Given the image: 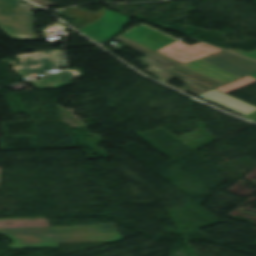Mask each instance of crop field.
<instances>
[{
	"instance_id": "obj_1",
	"label": "crop field",
	"mask_w": 256,
	"mask_h": 256,
	"mask_svg": "<svg viewBox=\"0 0 256 256\" xmlns=\"http://www.w3.org/2000/svg\"><path fill=\"white\" fill-rule=\"evenodd\" d=\"M0 234L11 238L10 249L58 247V244L104 243L121 240L116 225L20 228L0 230Z\"/></svg>"
},
{
	"instance_id": "obj_2",
	"label": "crop field",
	"mask_w": 256,
	"mask_h": 256,
	"mask_svg": "<svg viewBox=\"0 0 256 256\" xmlns=\"http://www.w3.org/2000/svg\"><path fill=\"white\" fill-rule=\"evenodd\" d=\"M116 40H119L124 43V45L135 49L145 55L147 57L140 58L139 60L145 62L146 64L151 65L148 67L146 72L150 74H154L159 78V81H162L164 83L177 78L179 80H182L186 82V84L181 87L179 90L183 92H190L192 94L198 95L203 94L213 88H216L222 84L215 82L211 79H208L202 75H199L195 72H192L184 67H182L180 64L158 54L155 53L143 46H140L130 40H127L125 38L119 37ZM168 84V83H166ZM170 85V84H168ZM172 86V85H170ZM174 87V86H172ZM176 88V87H174ZM178 89V88H176Z\"/></svg>"
},
{
	"instance_id": "obj_3",
	"label": "crop field",
	"mask_w": 256,
	"mask_h": 256,
	"mask_svg": "<svg viewBox=\"0 0 256 256\" xmlns=\"http://www.w3.org/2000/svg\"><path fill=\"white\" fill-rule=\"evenodd\" d=\"M14 58L22 62V65L13 66L14 72L22 77L30 74H40L41 70L47 68L64 67L61 50L36 51L33 54H21Z\"/></svg>"
},
{
	"instance_id": "obj_4",
	"label": "crop field",
	"mask_w": 256,
	"mask_h": 256,
	"mask_svg": "<svg viewBox=\"0 0 256 256\" xmlns=\"http://www.w3.org/2000/svg\"><path fill=\"white\" fill-rule=\"evenodd\" d=\"M220 51L223 50L202 42L188 46L184 43L177 41L157 52L171 57L183 64L185 62L205 57Z\"/></svg>"
},
{
	"instance_id": "obj_5",
	"label": "crop field",
	"mask_w": 256,
	"mask_h": 256,
	"mask_svg": "<svg viewBox=\"0 0 256 256\" xmlns=\"http://www.w3.org/2000/svg\"><path fill=\"white\" fill-rule=\"evenodd\" d=\"M128 19L129 17L105 10L97 23L80 31L107 41L118 35L121 27L129 23Z\"/></svg>"
},
{
	"instance_id": "obj_6",
	"label": "crop field",
	"mask_w": 256,
	"mask_h": 256,
	"mask_svg": "<svg viewBox=\"0 0 256 256\" xmlns=\"http://www.w3.org/2000/svg\"><path fill=\"white\" fill-rule=\"evenodd\" d=\"M239 77L256 71V62L247 60L235 54L223 51L205 58H201Z\"/></svg>"
},
{
	"instance_id": "obj_7",
	"label": "crop field",
	"mask_w": 256,
	"mask_h": 256,
	"mask_svg": "<svg viewBox=\"0 0 256 256\" xmlns=\"http://www.w3.org/2000/svg\"><path fill=\"white\" fill-rule=\"evenodd\" d=\"M0 29L17 40H34L33 17L0 15Z\"/></svg>"
},
{
	"instance_id": "obj_8",
	"label": "crop field",
	"mask_w": 256,
	"mask_h": 256,
	"mask_svg": "<svg viewBox=\"0 0 256 256\" xmlns=\"http://www.w3.org/2000/svg\"><path fill=\"white\" fill-rule=\"evenodd\" d=\"M123 36L154 51L176 41L143 25Z\"/></svg>"
},
{
	"instance_id": "obj_9",
	"label": "crop field",
	"mask_w": 256,
	"mask_h": 256,
	"mask_svg": "<svg viewBox=\"0 0 256 256\" xmlns=\"http://www.w3.org/2000/svg\"><path fill=\"white\" fill-rule=\"evenodd\" d=\"M202 96H203L202 98L205 100H208L210 102H213V103L223 106L225 108L233 110V111L240 113L244 116L256 111L255 107L250 106V105H248L244 102H241L237 99H234L228 95H225L215 89L208 93L203 94Z\"/></svg>"
},
{
	"instance_id": "obj_10",
	"label": "crop field",
	"mask_w": 256,
	"mask_h": 256,
	"mask_svg": "<svg viewBox=\"0 0 256 256\" xmlns=\"http://www.w3.org/2000/svg\"><path fill=\"white\" fill-rule=\"evenodd\" d=\"M184 66H187L193 70H196L204 75H207L223 84H226L232 80H235L239 77L226 72L214 65H211L201 59L192 61V62H188L183 64Z\"/></svg>"
},
{
	"instance_id": "obj_11",
	"label": "crop field",
	"mask_w": 256,
	"mask_h": 256,
	"mask_svg": "<svg viewBox=\"0 0 256 256\" xmlns=\"http://www.w3.org/2000/svg\"><path fill=\"white\" fill-rule=\"evenodd\" d=\"M0 14L33 16L28 7L20 4V0H0Z\"/></svg>"
},
{
	"instance_id": "obj_12",
	"label": "crop field",
	"mask_w": 256,
	"mask_h": 256,
	"mask_svg": "<svg viewBox=\"0 0 256 256\" xmlns=\"http://www.w3.org/2000/svg\"><path fill=\"white\" fill-rule=\"evenodd\" d=\"M254 82H256V79H254V78H252L250 76H247V77H245L243 79L234 81L232 83H229V84H226V85H222V86H220V87H218L216 89H218V90H220V91H222V92L227 94V93L235 91V90H237L239 88H242V87L247 86V85H249L251 83H254Z\"/></svg>"
},
{
	"instance_id": "obj_13",
	"label": "crop field",
	"mask_w": 256,
	"mask_h": 256,
	"mask_svg": "<svg viewBox=\"0 0 256 256\" xmlns=\"http://www.w3.org/2000/svg\"><path fill=\"white\" fill-rule=\"evenodd\" d=\"M45 77L57 85L62 83L64 84V86L72 84V75L67 70L61 73H57L55 75Z\"/></svg>"
},
{
	"instance_id": "obj_14",
	"label": "crop field",
	"mask_w": 256,
	"mask_h": 256,
	"mask_svg": "<svg viewBox=\"0 0 256 256\" xmlns=\"http://www.w3.org/2000/svg\"><path fill=\"white\" fill-rule=\"evenodd\" d=\"M32 85L38 87V88H56L58 86L52 84L50 81H48L47 79L40 81V82H33L31 83ZM37 88V89H38Z\"/></svg>"
},
{
	"instance_id": "obj_15",
	"label": "crop field",
	"mask_w": 256,
	"mask_h": 256,
	"mask_svg": "<svg viewBox=\"0 0 256 256\" xmlns=\"http://www.w3.org/2000/svg\"><path fill=\"white\" fill-rule=\"evenodd\" d=\"M227 50L230 51V52L240 54V55H243V56H246V57H249V58H252V59L256 60V50L252 51V52H248V53H244L240 50H233V49H227Z\"/></svg>"
},
{
	"instance_id": "obj_16",
	"label": "crop field",
	"mask_w": 256,
	"mask_h": 256,
	"mask_svg": "<svg viewBox=\"0 0 256 256\" xmlns=\"http://www.w3.org/2000/svg\"><path fill=\"white\" fill-rule=\"evenodd\" d=\"M243 118H246V119H249V120H252V121L256 122V112L247 116V117H243Z\"/></svg>"
},
{
	"instance_id": "obj_17",
	"label": "crop field",
	"mask_w": 256,
	"mask_h": 256,
	"mask_svg": "<svg viewBox=\"0 0 256 256\" xmlns=\"http://www.w3.org/2000/svg\"><path fill=\"white\" fill-rule=\"evenodd\" d=\"M250 76H252V77L256 78V73H254V74H252V75H250Z\"/></svg>"
}]
</instances>
